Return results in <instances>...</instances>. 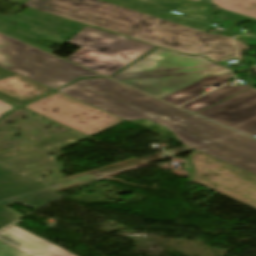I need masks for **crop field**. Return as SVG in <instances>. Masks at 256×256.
Masks as SVG:
<instances>
[{
  "mask_svg": "<svg viewBox=\"0 0 256 256\" xmlns=\"http://www.w3.org/2000/svg\"><path fill=\"white\" fill-rule=\"evenodd\" d=\"M57 91L127 121L151 120L172 131L181 144L256 175V139L109 78L81 79Z\"/></svg>",
  "mask_w": 256,
  "mask_h": 256,
  "instance_id": "8a807250",
  "label": "crop field"
},
{
  "mask_svg": "<svg viewBox=\"0 0 256 256\" xmlns=\"http://www.w3.org/2000/svg\"><path fill=\"white\" fill-rule=\"evenodd\" d=\"M23 6L167 48L203 53L213 60L235 55L230 37L207 34L100 0H30Z\"/></svg>",
  "mask_w": 256,
  "mask_h": 256,
  "instance_id": "ac0d7876",
  "label": "crop field"
},
{
  "mask_svg": "<svg viewBox=\"0 0 256 256\" xmlns=\"http://www.w3.org/2000/svg\"><path fill=\"white\" fill-rule=\"evenodd\" d=\"M229 72L203 57L158 48L112 78L161 98L208 75Z\"/></svg>",
  "mask_w": 256,
  "mask_h": 256,
  "instance_id": "34b2d1b8",
  "label": "crop field"
},
{
  "mask_svg": "<svg viewBox=\"0 0 256 256\" xmlns=\"http://www.w3.org/2000/svg\"><path fill=\"white\" fill-rule=\"evenodd\" d=\"M0 67L52 90L77 78L102 77L1 34Z\"/></svg>",
  "mask_w": 256,
  "mask_h": 256,
  "instance_id": "412701ff",
  "label": "crop field"
},
{
  "mask_svg": "<svg viewBox=\"0 0 256 256\" xmlns=\"http://www.w3.org/2000/svg\"><path fill=\"white\" fill-rule=\"evenodd\" d=\"M67 43L81 48L66 59L106 76L113 75L155 48L89 26Z\"/></svg>",
  "mask_w": 256,
  "mask_h": 256,
  "instance_id": "f4fd0767",
  "label": "crop field"
},
{
  "mask_svg": "<svg viewBox=\"0 0 256 256\" xmlns=\"http://www.w3.org/2000/svg\"><path fill=\"white\" fill-rule=\"evenodd\" d=\"M187 163L190 181L256 209V176L195 150Z\"/></svg>",
  "mask_w": 256,
  "mask_h": 256,
  "instance_id": "dd49c442",
  "label": "crop field"
},
{
  "mask_svg": "<svg viewBox=\"0 0 256 256\" xmlns=\"http://www.w3.org/2000/svg\"><path fill=\"white\" fill-rule=\"evenodd\" d=\"M23 107L88 136L124 121L57 91Z\"/></svg>",
  "mask_w": 256,
  "mask_h": 256,
  "instance_id": "e52e79f7",
  "label": "crop field"
},
{
  "mask_svg": "<svg viewBox=\"0 0 256 256\" xmlns=\"http://www.w3.org/2000/svg\"><path fill=\"white\" fill-rule=\"evenodd\" d=\"M59 196L0 167V228L23 216L8 205L16 202L36 209Z\"/></svg>",
  "mask_w": 256,
  "mask_h": 256,
  "instance_id": "d8731c3e",
  "label": "crop field"
},
{
  "mask_svg": "<svg viewBox=\"0 0 256 256\" xmlns=\"http://www.w3.org/2000/svg\"><path fill=\"white\" fill-rule=\"evenodd\" d=\"M197 114L248 135H256V88L244 91Z\"/></svg>",
  "mask_w": 256,
  "mask_h": 256,
  "instance_id": "5a996713",
  "label": "crop field"
},
{
  "mask_svg": "<svg viewBox=\"0 0 256 256\" xmlns=\"http://www.w3.org/2000/svg\"><path fill=\"white\" fill-rule=\"evenodd\" d=\"M0 241L30 256L34 251L43 256H75L14 224L0 230Z\"/></svg>",
  "mask_w": 256,
  "mask_h": 256,
  "instance_id": "3316defc",
  "label": "crop field"
},
{
  "mask_svg": "<svg viewBox=\"0 0 256 256\" xmlns=\"http://www.w3.org/2000/svg\"><path fill=\"white\" fill-rule=\"evenodd\" d=\"M52 90L0 68V98L21 106Z\"/></svg>",
  "mask_w": 256,
  "mask_h": 256,
  "instance_id": "28ad6ade",
  "label": "crop field"
},
{
  "mask_svg": "<svg viewBox=\"0 0 256 256\" xmlns=\"http://www.w3.org/2000/svg\"><path fill=\"white\" fill-rule=\"evenodd\" d=\"M143 4L169 12L174 9L185 13L183 16L196 19L205 23L210 21V7L192 0H143Z\"/></svg>",
  "mask_w": 256,
  "mask_h": 256,
  "instance_id": "d1516ede",
  "label": "crop field"
},
{
  "mask_svg": "<svg viewBox=\"0 0 256 256\" xmlns=\"http://www.w3.org/2000/svg\"><path fill=\"white\" fill-rule=\"evenodd\" d=\"M230 78H232L231 74H225L220 76H208L161 99L170 102L174 105H179L183 102L200 96V92L203 91L204 86L211 87L218 83H228L229 81L227 80Z\"/></svg>",
  "mask_w": 256,
  "mask_h": 256,
  "instance_id": "22f410ed",
  "label": "crop field"
},
{
  "mask_svg": "<svg viewBox=\"0 0 256 256\" xmlns=\"http://www.w3.org/2000/svg\"><path fill=\"white\" fill-rule=\"evenodd\" d=\"M251 85H245V86H240V85H234V86H229L226 85L222 88H219L215 91H212L208 94H205L183 106H180L186 110H189L193 113H196L224 98H227L233 94H236L248 87H250Z\"/></svg>",
  "mask_w": 256,
  "mask_h": 256,
  "instance_id": "cbeb9de0",
  "label": "crop field"
},
{
  "mask_svg": "<svg viewBox=\"0 0 256 256\" xmlns=\"http://www.w3.org/2000/svg\"><path fill=\"white\" fill-rule=\"evenodd\" d=\"M218 8L256 19V0H211Z\"/></svg>",
  "mask_w": 256,
  "mask_h": 256,
  "instance_id": "5142ce71",
  "label": "crop field"
},
{
  "mask_svg": "<svg viewBox=\"0 0 256 256\" xmlns=\"http://www.w3.org/2000/svg\"><path fill=\"white\" fill-rule=\"evenodd\" d=\"M0 256H28V255L0 242Z\"/></svg>",
  "mask_w": 256,
  "mask_h": 256,
  "instance_id": "d9b57169",
  "label": "crop field"
},
{
  "mask_svg": "<svg viewBox=\"0 0 256 256\" xmlns=\"http://www.w3.org/2000/svg\"><path fill=\"white\" fill-rule=\"evenodd\" d=\"M16 107L9 105L3 101H0V118L14 110Z\"/></svg>",
  "mask_w": 256,
  "mask_h": 256,
  "instance_id": "733c2abd",
  "label": "crop field"
},
{
  "mask_svg": "<svg viewBox=\"0 0 256 256\" xmlns=\"http://www.w3.org/2000/svg\"><path fill=\"white\" fill-rule=\"evenodd\" d=\"M196 1H199V2H201L202 0H196Z\"/></svg>",
  "mask_w": 256,
  "mask_h": 256,
  "instance_id": "4a817a6b",
  "label": "crop field"
},
{
  "mask_svg": "<svg viewBox=\"0 0 256 256\" xmlns=\"http://www.w3.org/2000/svg\"><path fill=\"white\" fill-rule=\"evenodd\" d=\"M256 73V71H254Z\"/></svg>",
  "mask_w": 256,
  "mask_h": 256,
  "instance_id": "bc2a9ffb",
  "label": "crop field"
}]
</instances>
